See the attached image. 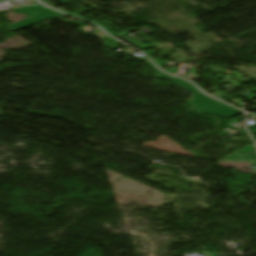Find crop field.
Returning <instances> with one entry per match:
<instances>
[{
    "mask_svg": "<svg viewBox=\"0 0 256 256\" xmlns=\"http://www.w3.org/2000/svg\"><path fill=\"white\" fill-rule=\"evenodd\" d=\"M155 72L157 78H163V79H168V75L158 71L154 65L151 63H147ZM174 81L176 85L179 87L193 93V100L189 102V104L192 106V111L195 113H206L210 115H218V116H223L230 118L241 111L234 109L232 107H229L223 103H220L216 100H213L203 93H201L199 90H197L195 87H193L191 84H189L186 81L177 79L172 77L171 79Z\"/></svg>",
    "mask_w": 256,
    "mask_h": 256,
    "instance_id": "obj_1",
    "label": "crop field"
},
{
    "mask_svg": "<svg viewBox=\"0 0 256 256\" xmlns=\"http://www.w3.org/2000/svg\"><path fill=\"white\" fill-rule=\"evenodd\" d=\"M15 11H17L19 13H23V14H28V16L23 21L14 23L11 26H7L8 28H11L14 30H17V29L26 27L28 25L46 20L48 18H54V17L60 16V15H63L59 12L50 10L40 4L15 9ZM30 16H32L33 18L32 19L28 18Z\"/></svg>",
    "mask_w": 256,
    "mask_h": 256,
    "instance_id": "obj_2",
    "label": "crop field"
},
{
    "mask_svg": "<svg viewBox=\"0 0 256 256\" xmlns=\"http://www.w3.org/2000/svg\"><path fill=\"white\" fill-rule=\"evenodd\" d=\"M254 146L249 145L248 147L240 150L239 152L223 159L222 161H231V162H246V161H256V151H254ZM240 152H245L241 154ZM250 152V153H248ZM221 162V161H220ZM256 164V163H249Z\"/></svg>",
    "mask_w": 256,
    "mask_h": 256,
    "instance_id": "obj_3",
    "label": "crop field"
},
{
    "mask_svg": "<svg viewBox=\"0 0 256 256\" xmlns=\"http://www.w3.org/2000/svg\"><path fill=\"white\" fill-rule=\"evenodd\" d=\"M104 44H105L107 47L114 49V48H116L117 46L121 45L122 43H120V42H118V41H116V40H114V39H112V38H109V39L105 40Z\"/></svg>",
    "mask_w": 256,
    "mask_h": 256,
    "instance_id": "obj_4",
    "label": "crop field"
}]
</instances>
